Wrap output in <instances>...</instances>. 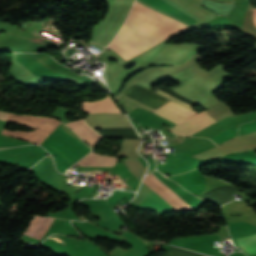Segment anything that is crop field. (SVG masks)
Here are the masks:
<instances>
[{"label": "crop field", "mask_w": 256, "mask_h": 256, "mask_svg": "<svg viewBox=\"0 0 256 256\" xmlns=\"http://www.w3.org/2000/svg\"><path fill=\"white\" fill-rule=\"evenodd\" d=\"M136 2V1H135ZM138 3V2H137ZM135 3L133 8L134 10L154 19L155 21L179 32L180 30L184 29L185 27ZM126 26L134 29L135 31L147 36L148 38L160 43L162 42L163 38L153 34L152 32L140 27L139 25L126 20L125 24ZM121 28L120 32L118 35L114 38L124 46H126L128 49L133 51L135 54H140L141 52L151 48L152 46L158 44L147 37L135 32L134 30L124 26ZM116 40H113L109 46L112 47L116 52H118L120 55H122L124 58L127 60L130 59L131 57L137 56L127 48H125L123 45L118 43Z\"/></svg>", "instance_id": "1"}, {"label": "crop field", "mask_w": 256, "mask_h": 256, "mask_svg": "<svg viewBox=\"0 0 256 256\" xmlns=\"http://www.w3.org/2000/svg\"><path fill=\"white\" fill-rule=\"evenodd\" d=\"M143 182L175 209L180 211L195 210L153 174L146 176Z\"/></svg>", "instance_id": "2"}, {"label": "crop field", "mask_w": 256, "mask_h": 256, "mask_svg": "<svg viewBox=\"0 0 256 256\" xmlns=\"http://www.w3.org/2000/svg\"><path fill=\"white\" fill-rule=\"evenodd\" d=\"M156 92L164 95L170 99H172L170 102H168L166 105L158 109L155 113L175 122L179 123L182 120L186 119L187 117L193 115L195 112L192 110V107L188 104L156 89Z\"/></svg>", "instance_id": "3"}, {"label": "crop field", "mask_w": 256, "mask_h": 256, "mask_svg": "<svg viewBox=\"0 0 256 256\" xmlns=\"http://www.w3.org/2000/svg\"><path fill=\"white\" fill-rule=\"evenodd\" d=\"M216 122L213 118L209 117L206 111L192 116L186 121L180 123L174 129L170 130L176 135L190 136L199 130Z\"/></svg>", "instance_id": "4"}, {"label": "crop field", "mask_w": 256, "mask_h": 256, "mask_svg": "<svg viewBox=\"0 0 256 256\" xmlns=\"http://www.w3.org/2000/svg\"><path fill=\"white\" fill-rule=\"evenodd\" d=\"M66 125L85 140L92 148L93 145L102 138L98 132L88 127L83 119L66 123Z\"/></svg>", "instance_id": "5"}, {"label": "crop field", "mask_w": 256, "mask_h": 256, "mask_svg": "<svg viewBox=\"0 0 256 256\" xmlns=\"http://www.w3.org/2000/svg\"><path fill=\"white\" fill-rule=\"evenodd\" d=\"M116 162V157L100 155L91 152L89 155H87L85 158L79 161L76 165L85 167L112 168Z\"/></svg>", "instance_id": "6"}, {"label": "crop field", "mask_w": 256, "mask_h": 256, "mask_svg": "<svg viewBox=\"0 0 256 256\" xmlns=\"http://www.w3.org/2000/svg\"><path fill=\"white\" fill-rule=\"evenodd\" d=\"M112 99V98H111ZM107 95L97 101L82 102L84 112H121L117 105Z\"/></svg>", "instance_id": "7"}, {"label": "crop field", "mask_w": 256, "mask_h": 256, "mask_svg": "<svg viewBox=\"0 0 256 256\" xmlns=\"http://www.w3.org/2000/svg\"><path fill=\"white\" fill-rule=\"evenodd\" d=\"M138 208L155 210L159 213V215L167 211L175 210L153 191L145 198V200L138 206Z\"/></svg>", "instance_id": "8"}, {"label": "crop field", "mask_w": 256, "mask_h": 256, "mask_svg": "<svg viewBox=\"0 0 256 256\" xmlns=\"http://www.w3.org/2000/svg\"><path fill=\"white\" fill-rule=\"evenodd\" d=\"M54 219L34 216L24 234L41 239Z\"/></svg>", "instance_id": "9"}, {"label": "crop field", "mask_w": 256, "mask_h": 256, "mask_svg": "<svg viewBox=\"0 0 256 256\" xmlns=\"http://www.w3.org/2000/svg\"><path fill=\"white\" fill-rule=\"evenodd\" d=\"M238 245L249 255L256 253V233L245 237L237 238Z\"/></svg>", "instance_id": "10"}, {"label": "crop field", "mask_w": 256, "mask_h": 256, "mask_svg": "<svg viewBox=\"0 0 256 256\" xmlns=\"http://www.w3.org/2000/svg\"><path fill=\"white\" fill-rule=\"evenodd\" d=\"M8 115H9L8 113H4V112H1V111H0V119H1V120H5V121H6Z\"/></svg>", "instance_id": "11"}, {"label": "crop field", "mask_w": 256, "mask_h": 256, "mask_svg": "<svg viewBox=\"0 0 256 256\" xmlns=\"http://www.w3.org/2000/svg\"><path fill=\"white\" fill-rule=\"evenodd\" d=\"M253 19H254V21H255V23H256V9H254Z\"/></svg>", "instance_id": "12"}, {"label": "crop field", "mask_w": 256, "mask_h": 256, "mask_svg": "<svg viewBox=\"0 0 256 256\" xmlns=\"http://www.w3.org/2000/svg\"><path fill=\"white\" fill-rule=\"evenodd\" d=\"M0 148H4V147H0Z\"/></svg>", "instance_id": "13"}]
</instances>
